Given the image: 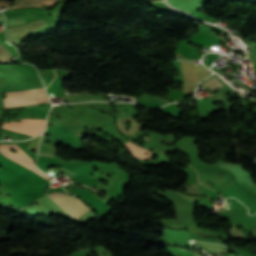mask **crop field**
I'll use <instances>...</instances> for the list:
<instances>
[{
  "label": "crop field",
  "instance_id": "crop-field-1",
  "mask_svg": "<svg viewBox=\"0 0 256 256\" xmlns=\"http://www.w3.org/2000/svg\"><path fill=\"white\" fill-rule=\"evenodd\" d=\"M5 94H6V98H4V103L48 99V96L46 95L44 88L8 91V92H5ZM45 101H49V100L7 103V104H4V106L45 102ZM27 106H31V105H27ZM21 107H26V106H21ZM21 107H18V108H21ZM2 127L13 130V131L27 133L32 136H35L44 131L45 120L21 119V123L11 121L9 124H7L4 122Z\"/></svg>",
  "mask_w": 256,
  "mask_h": 256
},
{
  "label": "crop field",
  "instance_id": "crop-field-2",
  "mask_svg": "<svg viewBox=\"0 0 256 256\" xmlns=\"http://www.w3.org/2000/svg\"><path fill=\"white\" fill-rule=\"evenodd\" d=\"M58 196H60L65 202H67L69 205L73 206L79 213H81L82 215L89 210L90 208H88L82 201H80L77 198H73L71 196H67L65 194H61V193H56ZM57 195L55 194H49V196L51 197V199L57 204L59 205L61 208H63L64 210H66L73 218L75 219H79L80 215L74 208L70 207L67 203H65L61 198H59ZM65 211V212H66Z\"/></svg>",
  "mask_w": 256,
  "mask_h": 256
},
{
  "label": "crop field",
  "instance_id": "crop-field-3",
  "mask_svg": "<svg viewBox=\"0 0 256 256\" xmlns=\"http://www.w3.org/2000/svg\"><path fill=\"white\" fill-rule=\"evenodd\" d=\"M10 149H15L17 152L14 154V153L10 152ZM0 152L4 156H6V157H8V158H10V159H12V160L22 164L23 166H25L27 168L32 169L35 173L41 175L43 178H45L47 180L50 179V177H48L47 175L43 174L42 172L39 171V169H37L35 167L34 162L17 145H0Z\"/></svg>",
  "mask_w": 256,
  "mask_h": 256
},
{
  "label": "crop field",
  "instance_id": "crop-field-4",
  "mask_svg": "<svg viewBox=\"0 0 256 256\" xmlns=\"http://www.w3.org/2000/svg\"><path fill=\"white\" fill-rule=\"evenodd\" d=\"M125 147H127L129 149V151L134 155V157L139 158V159H149L150 156L152 155V152H149L146 149H143L139 146H136L133 143H126L125 145H123ZM145 153H149V155H145Z\"/></svg>",
  "mask_w": 256,
  "mask_h": 256
},
{
  "label": "crop field",
  "instance_id": "crop-field-5",
  "mask_svg": "<svg viewBox=\"0 0 256 256\" xmlns=\"http://www.w3.org/2000/svg\"><path fill=\"white\" fill-rule=\"evenodd\" d=\"M204 84L212 92L225 87L224 83L221 80H219L216 76H212L209 80L205 81ZM204 84H202V86L206 87Z\"/></svg>",
  "mask_w": 256,
  "mask_h": 256
},
{
  "label": "crop field",
  "instance_id": "crop-field-6",
  "mask_svg": "<svg viewBox=\"0 0 256 256\" xmlns=\"http://www.w3.org/2000/svg\"><path fill=\"white\" fill-rule=\"evenodd\" d=\"M192 186H194L196 189L208 194L209 196L211 197H218L217 193H215L214 191L208 189V188H205L204 186L196 183V184H192Z\"/></svg>",
  "mask_w": 256,
  "mask_h": 256
},
{
  "label": "crop field",
  "instance_id": "crop-field-7",
  "mask_svg": "<svg viewBox=\"0 0 256 256\" xmlns=\"http://www.w3.org/2000/svg\"><path fill=\"white\" fill-rule=\"evenodd\" d=\"M22 23H25L24 19H9L7 20L6 26H15Z\"/></svg>",
  "mask_w": 256,
  "mask_h": 256
},
{
  "label": "crop field",
  "instance_id": "crop-field-8",
  "mask_svg": "<svg viewBox=\"0 0 256 256\" xmlns=\"http://www.w3.org/2000/svg\"><path fill=\"white\" fill-rule=\"evenodd\" d=\"M223 194L226 197L233 196L235 198H238V195H237L236 191L232 187H230L227 191L223 192Z\"/></svg>",
  "mask_w": 256,
  "mask_h": 256
},
{
  "label": "crop field",
  "instance_id": "crop-field-9",
  "mask_svg": "<svg viewBox=\"0 0 256 256\" xmlns=\"http://www.w3.org/2000/svg\"><path fill=\"white\" fill-rule=\"evenodd\" d=\"M39 155H44V156H54V155H51V154H43V153H39ZM56 157V156H54Z\"/></svg>",
  "mask_w": 256,
  "mask_h": 256
},
{
  "label": "crop field",
  "instance_id": "crop-field-10",
  "mask_svg": "<svg viewBox=\"0 0 256 256\" xmlns=\"http://www.w3.org/2000/svg\"><path fill=\"white\" fill-rule=\"evenodd\" d=\"M194 254H196V253H194ZM197 255V254H196ZM197 256H199V255H197Z\"/></svg>",
  "mask_w": 256,
  "mask_h": 256
},
{
  "label": "crop field",
  "instance_id": "crop-field-11",
  "mask_svg": "<svg viewBox=\"0 0 256 256\" xmlns=\"http://www.w3.org/2000/svg\"><path fill=\"white\" fill-rule=\"evenodd\" d=\"M224 210H226V209H224Z\"/></svg>",
  "mask_w": 256,
  "mask_h": 256
}]
</instances>
